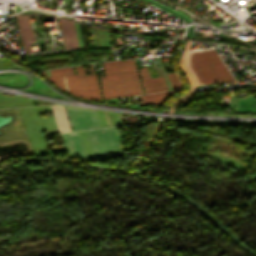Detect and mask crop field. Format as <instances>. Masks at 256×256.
Wrapping results in <instances>:
<instances>
[{"mask_svg": "<svg viewBox=\"0 0 256 256\" xmlns=\"http://www.w3.org/2000/svg\"><path fill=\"white\" fill-rule=\"evenodd\" d=\"M103 65L106 77L99 76L104 99L143 94L134 59Z\"/></svg>", "mask_w": 256, "mask_h": 256, "instance_id": "1", "label": "crop field"}, {"mask_svg": "<svg viewBox=\"0 0 256 256\" xmlns=\"http://www.w3.org/2000/svg\"><path fill=\"white\" fill-rule=\"evenodd\" d=\"M90 66L91 74L85 75L84 67L75 66L78 75H74L71 67L50 70L51 77H46L44 72H40L46 79L51 81L59 88L66 90L63 75H66L69 91L79 97L92 100L101 99L97 74H93L92 66Z\"/></svg>", "mask_w": 256, "mask_h": 256, "instance_id": "2", "label": "crop field"}, {"mask_svg": "<svg viewBox=\"0 0 256 256\" xmlns=\"http://www.w3.org/2000/svg\"><path fill=\"white\" fill-rule=\"evenodd\" d=\"M187 65L198 85L234 80L214 49L190 52Z\"/></svg>", "mask_w": 256, "mask_h": 256, "instance_id": "3", "label": "crop field"}, {"mask_svg": "<svg viewBox=\"0 0 256 256\" xmlns=\"http://www.w3.org/2000/svg\"><path fill=\"white\" fill-rule=\"evenodd\" d=\"M86 131L96 161L116 158L123 154L117 126Z\"/></svg>", "mask_w": 256, "mask_h": 256, "instance_id": "4", "label": "crop field"}, {"mask_svg": "<svg viewBox=\"0 0 256 256\" xmlns=\"http://www.w3.org/2000/svg\"><path fill=\"white\" fill-rule=\"evenodd\" d=\"M65 107L74 130L99 127L94 110Z\"/></svg>", "mask_w": 256, "mask_h": 256, "instance_id": "5", "label": "crop field"}, {"mask_svg": "<svg viewBox=\"0 0 256 256\" xmlns=\"http://www.w3.org/2000/svg\"><path fill=\"white\" fill-rule=\"evenodd\" d=\"M61 135L64 138L63 142L70 155L87 158L78 131Z\"/></svg>", "mask_w": 256, "mask_h": 256, "instance_id": "6", "label": "crop field"}, {"mask_svg": "<svg viewBox=\"0 0 256 256\" xmlns=\"http://www.w3.org/2000/svg\"><path fill=\"white\" fill-rule=\"evenodd\" d=\"M25 54L32 53L29 41H35L28 16H16Z\"/></svg>", "mask_w": 256, "mask_h": 256, "instance_id": "7", "label": "crop field"}, {"mask_svg": "<svg viewBox=\"0 0 256 256\" xmlns=\"http://www.w3.org/2000/svg\"><path fill=\"white\" fill-rule=\"evenodd\" d=\"M145 94L168 90L162 77L149 79L146 69H140Z\"/></svg>", "mask_w": 256, "mask_h": 256, "instance_id": "8", "label": "crop field"}, {"mask_svg": "<svg viewBox=\"0 0 256 256\" xmlns=\"http://www.w3.org/2000/svg\"><path fill=\"white\" fill-rule=\"evenodd\" d=\"M65 49L78 48L73 22L59 19Z\"/></svg>", "mask_w": 256, "mask_h": 256, "instance_id": "9", "label": "crop field"}, {"mask_svg": "<svg viewBox=\"0 0 256 256\" xmlns=\"http://www.w3.org/2000/svg\"><path fill=\"white\" fill-rule=\"evenodd\" d=\"M61 132L71 131L62 105H51Z\"/></svg>", "mask_w": 256, "mask_h": 256, "instance_id": "10", "label": "crop field"}, {"mask_svg": "<svg viewBox=\"0 0 256 256\" xmlns=\"http://www.w3.org/2000/svg\"><path fill=\"white\" fill-rule=\"evenodd\" d=\"M177 91L179 90L162 92L158 94L143 95V96H140V98L143 104L153 103V104L159 105L164 99L173 95Z\"/></svg>", "mask_w": 256, "mask_h": 256, "instance_id": "11", "label": "crop field"}, {"mask_svg": "<svg viewBox=\"0 0 256 256\" xmlns=\"http://www.w3.org/2000/svg\"><path fill=\"white\" fill-rule=\"evenodd\" d=\"M169 79H170V82L173 86L174 89H177V88H180L181 84L179 83L175 73H170V74H167Z\"/></svg>", "mask_w": 256, "mask_h": 256, "instance_id": "12", "label": "crop field"}]
</instances>
